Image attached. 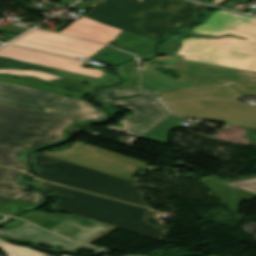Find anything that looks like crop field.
Here are the masks:
<instances>
[{
	"mask_svg": "<svg viewBox=\"0 0 256 256\" xmlns=\"http://www.w3.org/2000/svg\"><path fill=\"white\" fill-rule=\"evenodd\" d=\"M87 248H89V247H87ZM91 249H94V248H91ZM96 250H100V249H96ZM101 251H104V250H101Z\"/></svg>",
	"mask_w": 256,
	"mask_h": 256,
	"instance_id": "crop-field-37",
	"label": "crop field"
},
{
	"mask_svg": "<svg viewBox=\"0 0 256 256\" xmlns=\"http://www.w3.org/2000/svg\"><path fill=\"white\" fill-rule=\"evenodd\" d=\"M7 218H8V216L0 215V222L7 219Z\"/></svg>",
	"mask_w": 256,
	"mask_h": 256,
	"instance_id": "crop-field-34",
	"label": "crop field"
},
{
	"mask_svg": "<svg viewBox=\"0 0 256 256\" xmlns=\"http://www.w3.org/2000/svg\"><path fill=\"white\" fill-rule=\"evenodd\" d=\"M115 228L116 227L110 226V227L106 228L105 230L99 232L98 234H96L95 236H93L92 238H90L89 240H87L84 243L90 244V243L94 242L95 240L99 239L100 237H102L103 235L107 234L108 232L112 231Z\"/></svg>",
	"mask_w": 256,
	"mask_h": 256,
	"instance_id": "crop-field-31",
	"label": "crop field"
},
{
	"mask_svg": "<svg viewBox=\"0 0 256 256\" xmlns=\"http://www.w3.org/2000/svg\"><path fill=\"white\" fill-rule=\"evenodd\" d=\"M76 141L68 150L58 153L43 151V154L53 156L65 161L97 169L113 175L132 180L136 169L145 163L121 156L111 151Z\"/></svg>",
	"mask_w": 256,
	"mask_h": 256,
	"instance_id": "crop-field-10",
	"label": "crop field"
},
{
	"mask_svg": "<svg viewBox=\"0 0 256 256\" xmlns=\"http://www.w3.org/2000/svg\"><path fill=\"white\" fill-rule=\"evenodd\" d=\"M138 81V72L137 70L133 71L132 73L129 74V76L123 80V84L120 86L116 87H111V88H106V89H101L102 91L105 90H113V89H120V88H133L135 87L133 84H136Z\"/></svg>",
	"mask_w": 256,
	"mask_h": 256,
	"instance_id": "crop-field-25",
	"label": "crop field"
},
{
	"mask_svg": "<svg viewBox=\"0 0 256 256\" xmlns=\"http://www.w3.org/2000/svg\"><path fill=\"white\" fill-rule=\"evenodd\" d=\"M159 102L164 106V104L161 102V100H159ZM164 107H165V106H164ZM165 108H166V107H165ZM165 108H164V109H165ZM166 109H167V108H166ZM168 110H169V109H168ZM168 110H167V111H168ZM169 111H170V110H169ZM169 111H168V112H169ZM169 113H170V112H169Z\"/></svg>",
	"mask_w": 256,
	"mask_h": 256,
	"instance_id": "crop-field-36",
	"label": "crop field"
},
{
	"mask_svg": "<svg viewBox=\"0 0 256 256\" xmlns=\"http://www.w3.org/2000/svg\"><path fill=\"white\" fill-rule=\"evenodd\" d=\"M223 0H213V4H218V3H220V2H222Z\"/></svg>",
	"mask_w": 256,
	"mask_h": 256,
	"instance_id": "crop-field-35",
	"label": "crop field"
},
{
	"mask_svg": "<svg viewBox=\"0 0 256 256\" xmlns=\"http://www.w3.org/2000/svg\"><path fill=\"white\" fill-rule=\"evenodd\" d=\"M242 94L256 95V82L233 85Z\"/></svg>",
	"mask_w": 256,
	"mask_h": 256,
	"instance_id": "crop-field-27",
	"label": "crop field"
},
{
	"mask_svg": "<svg viewBox=\"0 0 256 256\" xmlns=\"http://www.w3.org/2000/svg\"><path fill=\"white\" fill-rule=\"evenodd\" d=\"M73 121L29 110L0 105V165L26 170L16 158L18 149H31L63 138Z\"/></svg>",
	"mask_w": 256,
	"mask_h": 256,
	"instance_id": "crop-field-4",
	"label": "crop field"
},
{
	"mask_svg": "<svg viewBox=\"0 0 256 256\" xmlns=\"http://www.w3.org/2000/svg\"><path fill=\"white\" fill-rule=\"evenodd\" d=\"M128 256H134V255L130 254V255H128Z\"/></svg>",
	"mask_w": 256,
	"mask_h": 256,
	"instance_id": "crop-field-38",
	"label": "crop field"
},
{
	"mask_svg": "<svg viewBox=\"0 0 256 256\" xmlns=\"http://www.w3.org/2000/svg\"><path fill=\"white\" fill-rule=\"evenodd\" d=\"M39 226L70 240L84 242L109 225L70 215Z\"/></svg>",
	"mask_w": 256,
	"mask_h": 256,
	"instance_id": "crop-field-14",
	"label": "crop field"
},
{
	"mask_svg": "<svg viewBox=\"0 0 256 256\" xmlns=\"http://www.w3.org/2000/svg\"><path fill=\"white\" fill-rule=\"evenodd\" d=\"M27 225H31V224L19 219L17 222H15V223L7 226V227H3L6 230H0V234H7V235H9L11 237H19V236L15 235V234L7 232V230L18 228V227H22V226H27Z\"/></svg>",
	"mask_w": 256,
	"mask_h": 256,
	"instance_id": "crop-field-29",
	"label": "crop field"
},
{
	"mask_svg": "<svg viewBox=\"0 0 256 256\" xmlns=\"http://www.w3.org/2000/svg\"><path fill=\"white\" fill-rule=\"evenodd\" d=\"M9 232L15 233L32 241L54 247L77 250L83 246H87L83 244L69 242L58 235L42 230L34 225L10 230Z\"/></svg>",
	"mask_w": 256,
	"mask_h": 256,
	"instance_id": "crop-field-19",
	"label": "crop field"
},
{
	"mask_svg": "<svg viewBox=\"0 0 256 256\" xmlns=\"http://www.w3.org/2000/svg\"><path fill=\"white\" fill-rule=\"evenodd\" d=\"M0 102L33 110H43L49 114L82 121L106 118L101 110L95 109L87 101L2 82H0Z\"/></svg>",
	"mask_w": 256,
	"mask_h": 256,
	"instance_id": "crop-field-6",
	"label": "crop field"
},
{
	"mask_svg": "<svg viewBox=\"0 0 256 256\" xmlns=\"http://www.w3.org/2000/svg\"><path fill=\"white\" fill-rule=\"evenodd\" d=\"M21 174V171L0 167V195L29 203H40L43 199L40 193L25 194L19 191L23 187L19 182Z\"/></svg>",
	"mask_w": 256,
	"mask_h": 256,
	"instance_id": "crop-field-18",
	"label": "crop field"
},
{
	"mask_svg": "<svg viewBox=\"0 0 256 256\" xmlns=\"http://www.w3.org/2000/svg\"><path fill=\"white\" fill-rule=\"evenodd\" d=\"M99 95L100 100H106L107 106L109 107L130 105L125 109L131 110L134 113L121 120L120 123L123 124L122 127L112 125H108L107 127L131 135L139 136L157 121L169 114L152 94L138 88L105 91L100 92ZM131 95L142 96L118 101L112 100L118 97Z\"/></svg>",
	"mask_w": 256,
	"mask_h": 256,
	"instance_id": "crop-field-8",
	"label": "crop field"
},
{
	"mask_svg": "<svg viewBox=\"0 0 256 256\" xmlns=\"http://www.w3.org/2000/svg\"><path fill=\"white\" fill-rule=\"evenodd\" d=\"M33 182L42 184L46 191L53 192L59 197L58 202L51 209L78 215L161 240L165 236L166 229L154 227L146 219L150 209L36 179H33Z\"/></svg>",
	"mask_w": 256,
	"mask_h": 256,
	"instance_id": "crop-field-3",
	"label": "crop field"
},
{
	"mask_svg": "<svg viewBox=\"0 0 256 256\" xmlns=\"http://www.w3.org/2000/svg\"><path fill=\"white\" fill-rule=\"evenodd\" d=\"M154 41H150L147 38L134 35L123 31L117 36L116 46L117 48L135 53L139 56H150L152 55V44Z\"/></svg>",
	"mask_w": 256,
	"mask_h": 256,
	"instance_id": "crop-field-21",
	"label": "crop field"
},
{
	"mask_svg": "<svg viewBox=\"0 0 256 256\" xmlns=\"http://www.w3.org/2000/svg\"><path fill=\"white\" fill-rule=\"evenodd\" d=\"M135 69H137V67L135 65V62L132 61L129 63L128 66H122L118 70L121 72L123 78L125 79L128 76V74Z\"/></svg>",
	"mask_w": 256,
	"mask_h": 256,
	"instance_id": "crop-field-30",
	"label": "crop field"
},
{
	"mask_svg": "<svg viewBox=\"0 0 256 256\" xmlns=\"http://www.w3.org/2000/svg\"><path fill=\"white\" fill-rule=\"evenodd\" d=\"M237 179H222L217 176L201 179L205 185L211 188L216 197L229 206L228 210L238 212L242 199L251 200L256 197V175Z\"/></svg>",
	"mask_w": 256,
	"mask_h": 256,
	"instance_id": "crop-field-12",
	"label": "crop field"
},
{
	"mask_svg": "<svg viewBox=\"0 0 256 256\" xmlns=\"http://www.w3.org/2000/svg\"><path fill=\"white\" fill-rule=\"evenodd\" d=\"M191 31L211 36L231 34L246 40L229 36L218 39L185 38L177 52L184 56L182 59L256 72V16L220 10Z\"/></svg>",
	"mask_w": 256,
	"mask_h": 256,
	"instance_id": "crop-field-1",
	"label": "crop field"
},
{
	"mask_svg": "<svg viewBox=\"0 0 256 256\" xmlns=\"http://www.w3.org/2000/svg\"><path fill=\"white\" fill-rule=\"evenodd\" d=\"M194 1H198V2H200V0H194Z\"/></svg>",
	"mask_w": 256,
	"mask_h": 256,
	"instance_id": "crop-field-39",
	"label": "crop field"
},
{
	"mask_svg": "<svg viewBox=\"0 0 256 256\" xmlns=\"http://www.w3.org/2000/svg\"><path fill=\"white\" fill-rule=\"evenodd\" d=\"M13 73H16V74H27L28 72H25V73L13 72ZM30 74L37 75V76H41V77H44V78H48L47 76H42V75H40V74H34V73H30ZM48 79H50V78H48ZM50 80H52V79H50Z\"/></svg>",
	"mask_w": 256,
	"mask_h": 256,
	"instance_id": "crop-field-33",
	"label": "crop field"
},
{
	"mask_svg": "<svg viewBox=\"0 0 256 256\" xmlns=\"http://www.w3.org/2000/svg\"><path fill=\"white\" fill-rule=\"evenodd\" d=\"M174 70L191 82L227 81L231 84L256 81V73L180 60Z\"/></svg>",
	"mask_w": 256,
	"mask_h": 256,
	"instance_id": "crop-field-13",
	"label": "crop field"
},
{
	"mask_svg": "<svg viewBox=\"0 0 256 256\" xmlns=\"http://www.w3.org/2000/svg\"><path fill=\"white\" fill-rule=\"evenodd\" d=\"M150 61L160 65L161 67H167V68L172 69V67L179 61V59L172 57V56H164V57H157V58L151 59ZM155 61H157L165 66H163Z\"/></svg>",
	"mask_w": 256,
	"mask_h": 256,
	"instance_id": "crop-field-26",
	"label": "crop field"
},
{
	"mask_svg": "<svg viewBox=\"0 0 256 256\" xmlns=\"http://www.w3.org/2000/svg\"><path fill=\"white\" fill-rule=\"evenodd\" d=\"M197 7L180 0H102L83 16L158 41L187 22Z\"/></svg>",
	"mask_w": 256,
	"mask_h": 256,
	"instance_id": "crop-field-2",
	"label": "crop field"
},
{
	"mask_svg": "<svg viewBox=\"0 0 256 256\" xmlns=\"http://www.w3.org/2000/svg\"><path fill=\"white\" fill-rule=\"evenodd\" d=\"M64 256H66V255H64Z\"/></svg>",
	"mask_w": 256,
	"mask_h": 256,
	"instance_id": "crop-field-40",
	"label": "crop field"
},
{
	"mask_svg": "<svg viewBox=\"0 0 256 256\" xmlns=\"http://www.w3.org/2000/svg\"><path fill=\"white\" fill-rule=\"evenodd\" d=\"M0 247L8 256H51L29 248L15 246L0 239Z\"/></svg>",
	"mask_w": 256,
	"mask_h": 256,
	"instance_id": "crop-field-23",
	"label": "crop field"
},
{
	"mask_svg": "<svg viewBox=\"0 0 256 256\" xmlns=\"http://www.w3.org/2000/svg\"><path fill=\"white\" fill-rule=\"evenodd\" d=\"M13 201V199L5 198L0 196V207Z\"/></svg>",
	"mask_w": 256,
	"mask_h": 256,
	"instance_id": "crop-field-32",
	"label": "crop field"
},
{
	"mask_svg": "<svg viewBox=\"0 0 256 256\" xmlns=\"http://www.w3.org/2000/svg\"><path fill=\"white\" fill-rule=\"evenodd\" d=\"M0 70H2V71L9 70V71H18V72L28 71V72L41 73V74L47 75L51 78L61 77L59 74H56L54 69L41 67V66H37V65H33V64H28V63H24V62H19V61H15V60H10V59H6V58H2V57H0ZM0 74L19 78V79H24V80H28V81H32V82L43 83V84H48V85H53V86H59V87L72 89V90L81 91L83 89V87H81L77 84L70 83V82H66V81L52 82L47 79L33 76L30 74L16 75V74L8 73V72H0Z\"/></svg>",
	"mask_w": 256,
	"mask_h": 256,
	"instance_id": "crop-field-15",
	"label": "crop field"
},
{
	"mask_svg": "<svg viewBox=\"0 0 256 256\" xmlns=\"http://www.w3.org/2000/svg\"><path fill=\"white\" fill-rule=\"evenodd\" d=\"M183 121L174 118L172 115L166 118L159 125L145 133L142 138L150 139L153 141L165 143L167 142L169 129L178 128L182 126Z\"/></svg>",
	"mask_w": 256,
	"mask_h": 256,
	"instance_id": "crop-field-22",
	"label": "crop field"
},
{
	"mask_svg": "<svg viewBox=\"0 0 256 256\" xmlns=\"http://www.w3.org/2000/svg\"><path fill=\"white\" fill-rule=\"evenodd\" d=\"M0 56L50 68H57L65 71L92 76L112 82L117 81L116 76L107 74L101 70L92 68H80L83 63L82 61L38 53L10 45H7L4 48L0 49Z\"/></svg>",
	"mask_w": 256,
	"mask_h": 256,
	"instance_id": "crop-field-11",
	"label": "crop field"
},
{
	"mask_svg": "<svg viewBox=\"0 0 256 256\" xmlns=\"http://www.w3.org/2000/svg\"><path fill=\"white\" fill-rule=\"evenodd\" d=\"M140 73L142 76V82L140 84V87H143L155 94L227 84V83L190 84L184 79H181V80L173 79L169 75H162L159 73V71H156V70H140Z\"/></svg>",
	"mask_w": 256,
	"mask_h": 256,
	"instance_id": "crop-field-16",
	"label": "crop field"
},
{
	"mask_svg": "<svg viewBox=\"0 0 256 256\" xmlns=\"http://www.w3.org/2000/svg\"><path fill=\"white\" fill-rule=\"evenodd\" d=\"M256 168V167H255Z\"/></svg>",
	"mask_w": 256,
	"mask_h": 256,
	"instance_id": "crop-field-41",
	"label": "crop field"
},
{
	"mask_svg": "<svg viewBox=\"0 0 256 256\" xmlns=\"http://www.w3.org/2000/svg\"><path fill=\"white\" fill-rule=\"evenodd\" d=\"M62 216H65V215H61V214H46V213L40 212L37 215L29 214V215H24V216H22L20 218L39 225L41 223H44V222H47L49 220H52V219H55V218H58V217H62Z\"/></svg>",
	"mask_w": 256,
	"mask_h": 256,
	"instance_id": "crop-field-24",
	"label": "crop field"
},
{
	"mask_svg": "<svg viewBox=\"0 0 256 256\" xmlns=\"http://www.w3.org/2000/svg\"><path fill=\"white\" fill-rule=\"evenodd\" d=\"M20 47L76 58L92 57L93 60L115 65L133 56L114 48L35 29L11 43Z\"/></svg>",
	"mask_w": 256,
	"mask_h": 256,
	"instance_id": "crop-field-7",
	"label": "crop field"
},
{
	"mask_svg": "<svg viewBox=\"0 0 256 256\" xmlns=\"http://www.w3.org/2000/svg\"><path fill=\"white\" fill-rule=\"evenodd\" d=\"M236 89L231 85L204 88L197 90L181 91L160 94L165 101L182 100L198 97L221 98L237 100L241 94L234 93Z\"/></svg>",
	"mask_w": 256,
	"mask_h": 256,
	"instance_id": "crop-field-20",
	"label": "crop field"
},
{
	"mask_svg": "<svg viewBox=\"0 0 256 256\" xmlns=\"http://www.w3.org/2000/svg\"><path fill=\"white\" fill-rule=\"evenodd\" d=\"M168 105L176 115L256 127V105L214 99H197Z\"/></svg>",
	"mask_w": 256,
	"mask_h": 256,
	"instance_id": "crop-field-9",
	"label": "crop field"
},
{
	"mask_svg": "<svg viewBox=\"0 0 256 256\" xmlns=\"http://www.w3.org/2000/svg\"><path fill=\"white\" fill-rule=\"evenodd\" d=\"M16 205H19L22 208H30L32 206H34V204H29V203H24V202H20V201H14L4 207L0 208V213H5V214H11L9 213L13 207H15Z\"/></svg>",
	"mask_w": 256,
	"mask_h": 256,
	"instance_id": "crop-field-28",
	"label": "crop field"
},
{
	"mask_svg": "<svg viewBox=\"0 0 256 256\" xmlns=\"http://www.w3.org/2000/svg\"><path fill=\"white\" fill-rule=\"evenodd\" d=\"M35 161L43 170L37 178L149 207L143 201L139 185L133 181L40 153L35 155Z\"/></svg>",
	"mask_w": 256,
	"mask_h": 256,
	"instance_id": "crop-field-5",
	"label": "crop field"
},
{
	"mask_svg": "<svg viewBox=\"0 0 256 256\" xmlns=\"http://www.w3.org/2000/svg\"><path fill=\"white\" fill-rule=\"evenodd\" d=\"M121 32L122 30L82 17L61 33L108 43Z\"/></svg>",
	"mask_w": 256,
	"mask_h": 256,
	"instance_id": "crop-field-17",
	"label": "crop field"
}]
</instances>
